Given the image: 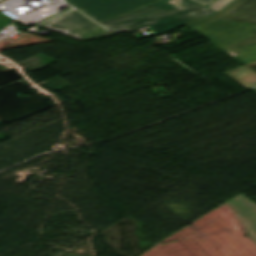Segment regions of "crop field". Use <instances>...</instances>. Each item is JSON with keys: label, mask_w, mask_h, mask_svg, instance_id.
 Returning <instances> with one entry per match:
<instances>
[{"label": "crop field", "mask_w": 256, "mask_h": 256, "mask_svg": "<svg viewBox=\"0 0 256 256\" xmlns=\"http://www.w3.org/2000/svg\"><path fill=\"white\" fill-rule=\"evenodd\" d=\"M232 0H216L214 3H212L209 7L214 9L215 11H220L222 8H224L228 3H230Z\"/></svg>", "instance_id": "e52e79f7"}, {"label": "crop field", "mask_w": 256, "mask_h": 256, "mask_svg": "<svg viewBox=\"0 0 256 256\" xmlns=\"http://www.w3.org/2000/svg\"><path fill=\"white\" fill-rule=\"evenodd\" d=\"M215 11L190 0H163L129 14L100 23L110 31L149 25L159 35L208 16Z\"/></svg>", "instance_id": "ac0d7876"}, {"label": "crop field", "mask_w": 256, "mask_h": 256, "mask_svg": "<svg viewBox=\"0 0 256 256\" xmlns=\"http://www.w3.org/2000/svg\"><path fill=\"white\" fill-rule=\"evenodd\" d=\"M189 26L242 64L256 61V0H236L220 14Z\"/></svg>", "instance_id": "8a807250"}, {"label": "crop field", "mask_w": 256, "mask_h": 256, "mask_svg": "<svg viewBox=\"0 0 256 256\" xmlns=\"http://www.w3.org/2000/svg\"><path fill=\"white\" fill-rule=\"evenodd\" d=\"M200 5L206 6L208 5L212 0H192Z\"/></svg>", "instance_id": "d8731c3e"}, {"label": "crop field", "mask_w": 256, "mask_h": 256, "mask_svg": "<svg viewBox=\"0 0 256 256\" xmlns=\"http://www.w3.org/2000/svg\"><path fill=\"white\" fill-rule=\"evenodd\" d=\"M226 204L232 207L256 242V203L240 194Z\"/></svg>", "instance_id": "f4fd0767"}, {"label": "crop field", "mask_w": 256, "mask_h": 256, "mask_svg": "<svg viewBox=\"0 0 256 256\" xmlns=\"http://www.w3.org/2000/svg\"><path fill=\"white\" fill-rule=\"evenodd\" d=\"M96 22L100 23L161 0H66Z\"/></svg>", "instance_id": "34b2d1b8"}, {"label": "crop field", "mask_w": 256, "mask_h": 256, "mask_svg": "<svg viewBox=\"0 0 256 256\" xmlns=\"http://www.w3.org/2000/svg\"><path fill=\"white\" fill-rule=\"evenodd\" d=\"M256 91V89H254Z\"/></svg>", "instance_id": "5a996713"}, {"label": "crop field", "mask_w": 256, "mask_h": 256, "mask_svg": "<svg viewBox=\"0 0 256 256\" xmlns=\"http://www.w3.org/2000/svg\"><path fill=\"white\" fill-rule=\"evenodd\" d=\"M225 74L247 89L256 86V62L225 72Z\"/></svg>", "instance_id": "dd49c442"}, {"label": "crop field", "mask_w": 256, "mask_h": 256, "mask_svg": "<svg viewBox=\"0 0 256 256\" xmlns=\"http://www.w3.org/2000/svg\"><path fill=\"white\" fill-rule=\"evenodd\" d=\"M39 27L59 31L79 40L111 35L74 11L55 17Z\"/></svg>", "instance_id": "412701ff"}]
</instances>
